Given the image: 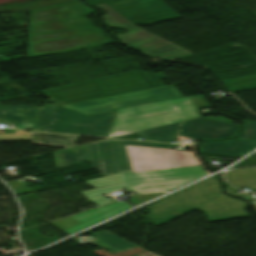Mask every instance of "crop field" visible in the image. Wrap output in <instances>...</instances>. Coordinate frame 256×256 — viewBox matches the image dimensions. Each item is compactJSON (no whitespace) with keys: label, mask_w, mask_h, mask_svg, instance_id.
Here are the masks:
<instances>
[{"label":"crop field","mask_w":256,"mask_h":256,"mask_svg":"<svg viewBox=\"0 0 256 256\" xmlns=\"http://www.w3.org/2000/svg\"><path fill=\"white\" fill-rule=\"evenodd\" d=\"M201 116L190 97L117 110L108 137L130 134Z\"/></svg>","instance_id":"obj_5"},{"label":"crop field","mask_w":256,"mask_h":256,"mask_svg":"<svg viewBox=\"0 0 256 256\" xmlns=\"http://www.w3.org/2000/svg\"><path fill=\"white\" fill-rule=\"evenodd\" d=\"M93 6H98L107 13L102 19L108 27L122 26L130 31L123 35L116 34L121 43L130 50L158 57L164 61L192 54L162 38L136 27L107 4Z\"/></svg>","instance_id":"obj_8"},{"label":"crop field","mask_w":256,"mask_h":256,"mask_svg":"<svg viewBox=\"0 0 256 256\" xmlns=\"http://www.w3.org/2000/svg\"><path fill=\"white\" fill-rule=\"evenodd\" d=\"M146 216L155 227L179 216V213L200 210L210 222L250 216L246 203L222 193L217 178H211L168 196L166 199L146 208Z\"/></svg>","instance_id":"obj_2"},{"label":"crop field","mask_w":256,"mask_h":256,"mask_svg":"<svg viewBox=\"0 0 256 256\" xmlns=\"http://www.w3.org/2000/svg\"><path fill=\"white\" fill-rule=\"evenodd\" d=\"M113 113L89 117L57 104L43 107L0 106V122H18V128L37 131L105 137Z\"/></svg>","instance_id":"obj_3"},{"label":"crop field","mask_w":256,"mask_h":256,"mask_svg":"<svg viewBox=\"0 0 256 256\" xmlns=\"http://www.w3.org/2000/svg\"><path fill=\"white\" fill-rule=\"evenodd\" d=\"M239 125L200 118L183 123L181 136L197 139H220L232 137Z\"/></svg>","instance_id":"obj_12"},{"label":"crop field","mask_w":256,"mask_h":256,"mask_svg":"<svg viewBox=\"0 0 256 256\" xmlns=\"http://www.w3.org/2000/svg\"><path fill=\"white\" fill-rule=\"evenodd\" d=\"M255 147V140L230 139L201 143L199 148L204 154L242 156Z\"/></svg>","instance_id":"obj_14"},{"label":"crop field","mask_w":256,"mask_h":256,"mask_svg":"<svg viewBox=\"0 0 256 256\" xmlns=\"http://www.w3.org/2000/svg\"><path fill=\"white\" fill-rule=\"evenodd\" d=\"M77 0H38L29 3L0 4V12L31 11L39 8L66 4Z\"/></svg>","instance_id":"obj_19"},{"label":"crop field","mask_w":256,"mask_h":256,"mask_svg":"<svg viewBox=\"0 0 256 256\" xmlns=\"http://www.w3.org/2000/svg\"><path fill=\"white\" fill-rule=\"evenodd\" d=\"M244 135L240 138L256 140V121H247L243 129Z\"/></svg>","instance_id":"obj_20"},{"label":"crop field","mask_w":256,"mask_h":256,"mask_svg":"<svg viewBox=\"0 0 256 256\" xmlns=\"http://www.w3.org/2000/svg\"><path fill=\"white\" fill-rule=\"evenodd\" d=\"M176 136H177V135L172 134L169 142H171V141H175Z\"/></svg>","instance_id":"obj_26"},{"label":"crop field","mask_w":256,"mask_h":256,"mask_svg":"<svg viewBox=\"0 0 256 256\" xmlns=\"http://www.w3.org/2000/svg\"><path fill=\"white\" fill-rule=\"evenodd\" d=\"M31 133V140L33 145L39 146H52L68 148L74 146L77 136L59 135V134H46V133Z\"/></svg>","instance_id":"obj_15"},{"label":"crop field","mask_w":256,"mask_h":256,"mask_svg":"<svg viewBox=\"0 0 256 256\" xmlns=\"http://www.w3.org/2000/svg\"><path fill=\"white\" fill-rule=\"evenodd\" d=\"M162 73L151 74L141 70L44 91L51 98L73 103L93 98L163 86Z\"/></svg>","instance_id":"obj_6"},{"label":"crop field","mask_w":256,"mask_h":256,"mask_svg":"<svg viewBox=\"0 0 256 256\" xmlns=\"http://www.w3.org/2000/svg\"><path fill=\"white\" fill-rule=\"evenodd\" d=\"M160 194H162V193L139 195L136 198H138V199H140V200L145 202V201L150 200V199H152V198H154V197H156V196H158Z\"/></svg>","instance_id":"obj_23"},{"label":"crop field","mask_w":256,"mask_h":256,"mask_svg":"<svg viewBox=\"0 0 256 256\" xmlns=\"http://www.w3.org/2000/svg\"><path fill=\"white\" fill-rule=\"evenodd\" d=\"M17 140V139H30L29 132H24L20 134H14V130H6V135H0V140Z\"/></svg>","instance_id":"obj_21"},{"label":"crop field","mask_w":256,"mask_h":256,"mask_svg":"<svg viewBox=\"0 0 256 256\" xmlns=\"http://www.w3.org/2000/svg\"><path fill=\"white\" fill-rule=\"evenodd\" d=\"M181 97L183 96L176 87L174 85H170L73 103L70 105H64V107L90 116L94 114L112 112L113 109Z\"/></svg>","instance_id":"obj_9"},{"label":"crop field","mask_w":256,"mask_h":256,"mask_svg":"<svg viewBox=\"0 0 256 256\" xmlns=\"http://www.w3.org/2000/svg\"><path fill=\"white\" fill-rule=\"evenodd\" d=\"M90 4L107 2L134 24L148 25L180 17L162 0H86Z\"/></svg>","instance_id":"obj_11"},{"label":"crop field","mask_w":256,"mask_h":256,"mask_svg":"<svg viewBox=\"0 0 256 256\" xmlns=\"http://www.w3.org/2000/svg\"><path fill=\"white\" fill-rule=\"evenodd\" d=\"M205 118H210V119H215V120H220V121H225V122H230V120H227L225 118H222V117H205Z\"/></svg>","instance_id":"obj_24"},{"label":"crop field","mask_w":256,"mask_h":256,"mask_svg":"<svg viewBox=\"0 0 256 256\" xmlns=\"http://www.w3.org/2000/svg\"><path fill=\"white\" fill-rule=\"evenodd\" d=\"M94 12L80 2L30 12L28 57L111 43L84 17Z\"/></svg>","instance_id":"obj_1"},{"label":"crop field","mask_w":256,"mask_h":256,"mask_svg":"<svg viewBox=\"0 0 256 256\" xmlns=\"http://www.w3.org/2000/svg\"><path fill=\"white\" fill-rule=\"evenodd\" d=\"M125 147L133 173L199 165L194 153L190 151Z\"/></svg>","instance_id":"obj_10"},{"label":"crop field","mask_w":256,"mask_h":256,"mask_svg":"<svg viewBox=\"0 0 256 256\" xmlns=\"http://www.w3.org/2000/svg\"><path fill=\"white\" fill-rule=\"evenodd\" d=\"M98 240L93 241L104 249H110V254L137 247L136 245L104 230L101 232L94 233Z\"/></svg>","instance_id":"obj_16"},{"label":"crop field","mask_w":256,"mask_h":256,"mask_svg":"<svg viewBox=\"0 0 256 256\" xmlns=\"http://www.w3.org/2000/svg\"><path fill=\"white\" fill-rule=\"evenodd\" d=\"M191 99L196 104L198 109L210 107V104L208 103V101L205 99L203 95L192 96Z\"/></svg>","instance_id":"obj_22"},{"label":"crop field","mask_w":256,"mask_h":256,"mask_svg":"<svg viewBox=\"0 0 256 256\" xmlns=\"http://www.w3.org/2000/svg\"><path fill=\"white\" fill-rule=\"evenodd\" d=\"M130 207L132 206L125 202H118L112 205L81 213L75 216L67 217L51 223L66 234L70 235L76 231H79L85 227H88Z\"/></svg>","instance_id":"obj_13"},{"label":"crop field","mask_w":256,"mask_h":256,"mask_svg":"<svg viewBox=\"0 0 256 256\" xmlns=\"http://www.w3.org/2000/svg\"><path fill=\"white\" fill-rule=\"evenodd\" d=\"M171 213H174V214L179 215V216H182V215L186 214V213L179 214V213H176V212H174V211H172Z\"/></svg>","instance_id":"obj_27"},{"label":"crop field","mask_w":256,"mask_h":256,"mask_svg":"<svg viewBox=\"0 0 256 256\" xmlns=\"http://www.w3.org/2000/svg\"><path fill=\"white\" fill-rule=\"evenodd\" d=\"M124 145L166 148L168 144L108 139L53 154L57 168L91 160L92 166L107 176L131 170Z\"/></svg>","instance_id":"obj_7"},{"label":"crop field","mask_w":256,"mask_h":256,"mask_svg":"<svg viewBox=\"0 0 256 256\" xmlns=\"http://www.w3.org/2000/svg\"><path fill=\"white\" fill-rule=\"evenodd\" d=\"M180 123L171 124L167 126H162L126 136H121L119 138H125V139H133L135 137H142L144 140H150V141H162V142H168L171 133H178Z\"/></svg>","instance_id":"obj_17"},{"label":"crop field","mask_w":256,"mask_h":256,"mask_svg":"<svg viewBox=\"0 0 256 256\" xmlns=\"http://www.w3.org/2000/svg\"><path fill=\"white\" fill-rule=\"evenodd\" d=\"M226 177L237 188L256 190V168L232 170Z\"/></svg>","instance_id":"obj_18"},{"label":"crop field","mask_w":256,"mask_h":256,"mask_svg":"<svg viewBox=\"0 0 256 256\" xmlns=\"http://www.w3.org/2000/svg\"><path fill=\"white\" fill-rule=\"evenodd\" d=\"M205 174L201 166L137 174H132L131 171H129L87 181V184L96 189L82 192V194L99 206L112 202L101 195L105 192L121 190L124 189V187L129 191L138 193L173 190Z\"/></svg>","instance_id":"obj_4"},{"label":"crop field","mask_w":256,"mask_h":256,"mask_svg":"<svg viewBox=\"0 0 256 256\" xmlns=\"http://www.w3.org/2000/svg\"><path fill=\"white\" fill-rule=\"evenodd\" d=\"M26 0H0V3L22 2Z\"/></svg>","instance_id":"obj_25"}]
</instances>
